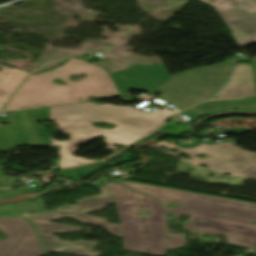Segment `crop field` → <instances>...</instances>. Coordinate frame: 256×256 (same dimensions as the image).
Wrapping results in <instances>:
<instances>
[{
	"instance_id": "11",
	"label": "crop field",
	"mask_w": 256,
	"mask_h": 256,
	"mask_svg": "<svg viewBox=\"0 0 256 256\" xmlns=\"http://www.w3.org/2000/svg\"><path fill=\"white\" fill-rule=\"evenodd\" d=\"M98 189L101 191V195L93 198H84L76 202L79 204L78 206L67 205L56 209V211L84 215L92 211H100L107 204L116 202L114 195L105 187V185Z\"/></svg>"
},
{
	"instance_id": "14",
	"label": "crop field",
	"mask_w": 256,
	"mask_h": 256,
	"mask_svg": "<svg viewBox=\"0 0 256 256\" xmlns=\"http://www.w3.org/2000/svg\"><path fill=\"white\" fill-rule=\"evenodd\" d=\"M96 166H99L101 168L106 167L105 164L100 162V163H96V164L89 165V166H84V167H79V168H74V169H69V170H63V171H61V173L59 175L62 177H65V178H72L73 181H78L80 179L79 176H82L85 174L89 175V174L95 172L96 170L94 167H96Z\"/></svg>"
},
{
	"instance_id": "17",
	"label": "crop field",
	"mask_w": 256,
	"mask_h": 256,
	"mask_svg": "<svg viewBox=\"0 0 256 256\" xmlns=\"http://www.w3.org/2000/svg\"><path fill=\"white\" fill-rule=\"evenodd\" d=\"M19 215L18 211L15 210L12 204H7L0 208V216Z\"/></svg>"
},
{
	"instance_id": "16",
	"label": "crop field",
	"mask_w": 256,
	"mask_h": 256,
	"mask_svg": "<svg viewBox=\"0 0 256 256\" xmlns=\"http://www.w3.org/2000/svg\"><path fill=\"white\" fill-rule=\"evenodd\" d=\"M16 147L7 127L0 128V151Z\"/></svg>"
},
{
	"instance_id": "2",
	"label": "crop field",
	"mask_w": 256,
	"mask_h": 256,
	"mask_svg": "<svg viewBox=\"0 0 256 256\" xmlns=\"http://www.w3.org/2000/svg\"><path fill=\"white\" fill-rule=\"evenodd\" d=\"M138 192L160 200L165 212L192 216L184 229L212 234H225L232 245L256 249V205L205 195L159 188L143 184L123 182ZM182 204L180 208H168L166 203ZM227 218L222 219L219 216Z\"/></svg>"
},
{
	"instance_id": "23",
	"label": "crop field",
	"mask_w": 256,
	"mask_h": 256,
	"mask_svg": "<svg viewBox=\"0 0 256 256\" xmlns=\"http://www.w3.org/2000/svg\"><path fill=\"white\" fill-rule=\"evenodd\" d=\"M1 163H6V161H1L0 164H1ZM0 170H1V169H0Z\"/></svg>"
},
{
	"instance_id": "3",
	"label": "crop field",
	"mask_w": 256,
	"mask_h": 256,
	"mask_svg": "<svg viewBox=\"0 0 256 256\" xmlns=\"http://www.w3.org/2000/svg\"><path fill=\"white\" fill-rule=\"evenodd\" d=\"M81 73L87 77L79 81L68 78ZM55 78L62 79L67 86L52 82ZM90 96L109 98L119 96V93L104 68L73 59L53 72L30 76L13 96L5 112L83 102Z\"/></svg>"
},
{
	"instance_id": "19",
	"label": "crop field",
	"mask_w": 256,
	"mask_h": 256,
	"mask_svg": "<svg viewBox=\"0 0 256 256\" xmlns=\"http://www.w3.org/2000/svg\"><path fill=\"white\" fill-rule=\"evenodd\" d=\"M182 114L186 115L187 117L193 119V120H197L198 118L202 117V116H205V114L191 108V109H188V110H185L183 112H181Z\"/></svg>"
},
{
	"instance_id": "15",
	"label": "crop field",
	"mask_w": 256,
	"mask_h": 256,
	"mask_svg": "<svg viewBox=\"0 0 256 256\" xmlns=\"http://www.w3.org/2000/svg\"><path fill=\"white\" fill-rule=\"evenodd\" d=\"M14 204L16 205V207L19 210H21L23 212V214L28 213V212L35 213V212L46 211V209L44 207V202L41 199H38L33 203L17 202Z\"/></svg>"
},
{
	"instance_id": "12",
	"label": "crop field",
	"mask_w": 256,
	"mask_h": 256,
	"mask_svg": "<svg viewBox=\"0 0 256 256\" xmlns=\"http://www.w3.org/2000/svg\"><path fill=\"white\" fill-rule=\"evenodd\" d=\"M3 68L0 72V110L15 91V89L20 85V83L28 75L27 72L1 66Z\"/></svg>"
},
{
	"instance_id": "21",
	"label": "crop field",
	"mask_w": 256,
	"mask_h": 256,
	"mask_svg": "<svg viewBox=\"0 0 256 256\" xmlns=\"http://www.w3.org/2000/svg\"><path fill=\"white\" fill-rule=\"evenodd\" d=\"M253 69V76H254V83H255V90H256V62L252 64Z\"/></svg>"
},
{
	"instance_id": "1",
	"label": "crop field",
	"mask_w": 256,
	"mask_h": 256,
	"mask_svg": "<svg viewBox=\"0 0 256 256\" xmlns=\"http://www.w3.org/2000/svg\"><path fill=\"white\" fill-rule=\"evenodd\" d=\"M174 113L176 111L164 108L147 114L129 106L97 105L92 102L54 107L50 108V120L58 123L60 131L71 133V140L61 142L51 138L50 144L61 146L60 169L88 164L94 161L72 156L77 150L76 144H85L102 134L110 145L107 148L115 153L117 148L114 145L133 143L154 131ZM93 122H109L117 127L113 130L99 129L92 127ZM69 147L71 151H68Z\"/></svg>"
},
{
	"instance_id": "22",
	"label": "crop field",
	"mask_w": 256,
	"mask_h": 256,
	"mask_svg": "<svg viewBox=\"0 0 256 256\" xmlns=\"http://www.w3.org/2000/svg\"><path fill=\"white\" fill-rule=\"evenodd\" d=\"M10 237H8L7 235H5L1 230H0V240H4V239H8Z\"/></svg>"
},
{
	"instance_id": "9",
	"label": "crop field",
	"mask_w": 256,
	"mask_h": 256,
	"mask_svg": "<svg viewBox=\"0 0 256 256\" xmlns=\"http://www.w3.org/2000/svg\"><path fill=\"white\" fill-rule=\"evenodd\" d=\"M0 229L10 236L0 241V256H42L32 225L23 217L0 218Z\"/></svg>"
},
{
	"instance_id": "4",
	"label": "crop field",
	"mask_w": 256,
	"mask_h": 256,
	"mask_svg": "<svg viewBox=\"0 0 256 256\" xmlns=\"http://www.w3.org/2000/svg\"><path fill=\"white\" fill-rule=\"evenodd\" d=\"M233 65L224 63L195 68L175 78L167 74L164 65H136L110 76L122 96L130 88L146 91L160 89L165 92L162 98L182 110L202 100L211 99L228 81Z\"/></svg>"
},
{
	"instance_id": "5",
	"label": "crop field",
	"mask_w": 256,
	"mask_h": 256,
	"mask_svg": "<svg viewBox=\"0 0 256 256\" xmlns=\"http://www.w3.org/2000/svg\"><path fill=\"white\" fill-rule=\"evenodd\" d=\"M105 185L115 195L117 201L125 250L152 256L166 255V217L158 200L117 183ZM137 202L141 204L138 205ZM138 211H153V213L138 218ZM144 218H148V221H142ZM167 238V250L182 248L186 243L182 235ZM147 249L150 252H146Z\"/></svg>"
},
{
	"instance_id": "24",
	"label": "crop field",
	"mask_w": 256,
	"mask_h": 256,
	"mask_svg": "<svg viewBox=\"0 0 256 256\" xmlns=\"http://www.w3.org/2000/svg\"><path fill=\"white\" fill-rule=\"evenodd\" d=\"M255 252H256V250H255Z\"/></svg>"
},
{
	"instance_id": "6",
	"label": "crop field",
	"mask_w": 256,
	"mask_h": 256,
	"mask_svg": "<svg viewBox=\"0 0 256 256\" xmlns=\"http://www.w3.org/2000/svg\"><path fill=\"white\" fill-rule=\"evenodd\" d=\"M167 142L171 141H162L156 145L149 146V148L162 146H166L171 150L179 148L173 145L172 142L171 145L166 144ZM179 149L183 150L184 152L177 154L171 152L164 153L176 158H178L177 155L187 153L193 159L181 160L187 161L195 165L206 164L209 166V169L217 171L221 174L230 173L234 176L237 175L241 178L256 179V153L241 150L229 142L212 146L202 144L192 149ZM195 155H209L211 157L207 159H200Z\"/></svg>"
},
{
	"instance_id": "10",
	"label": "crop field",
	"mask_w": 256,
	"mask_h": 256,
	"mask_svg": "<svg viewBox=\"0 0 256 256\" xmlns=\"http://www.w3.org/2000/svg\"><path fill=\"white\" fill-rule=\"evenodd\" d=\"M255 93L252 69L237 64L230 82L217 94L218 98H234Z\"/></svg>"
},
{
	"instance_id": "8",
	"label": "crop field",
	"mask_w": 256,
	"mask_h": 256,
	"mask_svg": "<svg viewBox=\"0 0 256 256\" xmlns=\"http://www.w3.org/2000/svg\"><path fill=\"white\" fill-rule=\"evenodd\" d=\"M217 9L239 46L256 41V0H199Z\"/></svg>"
},
{
	"instance_id": "7",
	"label": "crop field",
	"mask_w": 256,
	"mask_h": 256,
	"mask_svg": "<svg viewBox=\"0 0 256 256\" xmlns=\"http://www.w3.org/2000/svg\"><path fill=\"white\" fill-rule=\"evenodd\" d=\"M62 217H74L82 223H89L91 225L102 226L107 228L113 235L122 238L120 225L107 224L106 219L91 218L89 216H80L74 214H55L44 213L31 215L28 218L32 221L40 232L41 243L46 252L69 254L77 256H101V252L94 251L97 244L95 242L79 241V242H63L56 237L50 236L51 233H70L75 231H84L74 226L54 225L50 224L51 219L57 220ZM90 247L89 250L83 249ZM65 249H71V252H65Z\"/></svg>"
},
{
	"instance_id": "13",
	"label": "crop field",
	"mask_w": 256,
	"mask_h": 256,
	"mask_svg": "<svg viewBox=\"0 0 256 256\" xmlns=\"http://www.w3.org/2000/svg\"><path fill=\"white\" fill-rule=\"evenodd\" d=\"M195 109L205 113L206 115L222 110H255L256 109V96L230 101H208L202 103Z\"/></svg>"
},
{
	"instance_id": "20",
	"label": "crop field",
	"mask_w": 256,
	"mask_h": 256,
	"mask_svg": "<svg viewBox=\"0 0 256 256\" xmlns=\"http://www.w3.org/2000/svg\"><path fill=\"white\" fill-rule=\"evenodd\" d=\"M161 130L165 131L164 133H168V134H176V135L184 134V132L179 131L177 127H174L172 125H164L161 128Z\"/></svg>"
},
{
	"instance_id": "18",
	"label": "crop field",
	"mask_w": 256,
	"mask_h": 256,
	"mask_svg": "<svg viewBox=\"0 0 256 256\" xmlns=\"http://www.w3.org/2000/svg\"><path fill=\"white\" fill-rule=\"evenodd\" d=\"M236 132V133H242V132H248L252 131L250 127H235V128H229V129H223V130H215L214 134H219V133H229V132Z\"/></svg>"
}]
</instances>
